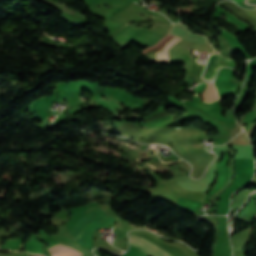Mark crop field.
<instances>
[{
	"mask_svg": "<svg viewBox=\"0 0 256 256\" xmlns=\"http://www.w3.org/2000/svg\"><path fill=\"white\" fill-rule=\"evenodd\" d=\"M115 219L108 216L102 209L96 211L89 216L85 217L77 224L72 226L68 231L76 237L77 243L85 247L92 248L91 246V234L97 228L106 226L113 222Z\"/></svg>",
	"mask_w": 256,
	"mask_h": 256,
	"instance_id": "crop-field-1",
	"label": "crop field"
},
{
	"mask_svg": "<svg viewBox=\"0 0 256 256\" xmlns=\"http://www.w3.org/2000/svg\"><path fill=\"white\" fill-rule=\"evenodd\" d=\"M129 39H134L138 43L146 47V46L155 44L158 40L161 39V37H158L152 33L144 34V33L136 32L126 27H123L119 31V33L114 37V40L118 42L129 40Z\"/></svg>",
	"mask_w": 256,
	"mask_h": 256,
	"instance_id": "crop-field-2",
	"label": "crop field"
},
{
	"mask_svg": "<svg viewBox=\"0 0 256 256\" xmlns=\"http://www.w3.org/2000/svg\"><path fill=\"white\" fill-rule=\"evenodd\" d=\"M131 239V245L139 248L148 256H170L164 250L160 249L156 245L152 244L151 242L133 234L129 235Z\"/></svg>",
	"mask_w": 256,
	"mask_h": 256,
	"instance_id": "crop-field-3",
	"label": "crop field"
},
{
	"mask_svg": "<svg viewBox=\"0 0 256 256\" xmlns=\"http://www.w3.org/2000/svg\"><path fill=\"white\" fill-rule=\"evenodd\" d=\"M168 34L200 43H208L204 37L189 33L188 29L184 27L181 23L174 24Z\"/></svg>",
	"mask_w": 256,
	"mask_h": 256,
	"instance_id": "crop-field-4",
	"label": "crop field"
},
{
	"mask_svg": "<svg viewBox=\"0 0 256 256\" xmlns=\"http://www.w3.org/2000/svg\"><path fill=\"white\" fill-rule=\"evenodd\" d=\"M210 56H212V55H210ZM217 60L230 61L228 59H225V58L219 56L218 54L210 57L208 64L206 66V69L203 73V78H205L206 80L213 79L216 71L222 67L220 64L217 63Z\"/></svg>",
	"mask_w": 256,
	"mask_h": 256,
	"instance_id": "crop-field-5",
	"label": "crop field"
},
{
	"mask_svg": "<svg viewBox=\"0 0 256 256\" xmlns=\"http://www.w3.org/2000/svg\"><path fill=\"white\" fill-rule=\"evenodd\" d=\"M201 95L206 102H212L217 99L216 90L212 83H208L206 90Z\"/></svg>",
	"mask_w": 256,
	"mask_h": 256,
	"instance_id": "crop-field-6",
	"label": "crop field"
}]
</instances>
